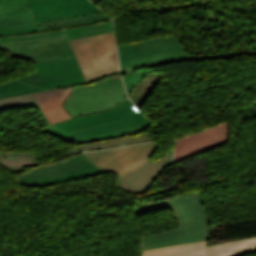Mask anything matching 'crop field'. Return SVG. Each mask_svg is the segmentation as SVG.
<instances>
[{
  "mask_svg": "<svg viewBox=\"0 0 256 256\" xmlns=\"http://www.w3.org/2000/svg\"><path fill=\"white\" fill-rule=\"evenodd\" d=\"M153 140L150 135H148L145 131L130 137H124L119 139L95 142V143H86V144H79L76 146L75 150H97V149H107L112 147H117L120 145H127V144H134V143H141L145 141Z\"/></svg>",
  "mask_w": 256,
  "mask_h": 256,
  "instance_id": "4a817a6b",
  "label": "crop field"
},
{
  "mask_svg": "<svg viewBox=\"0 0 256 256\" xmlns=\"http://www.w3.org/2000/svg\"><path fill=\"white\" fill-rule=\"evenodd\" d=\"M39 32L28 5L0 14V36Z\"/></svg>",
  "mask_w": 256,
  "mask_h": 256,
  "instance_id": "22f410ed",
  "label": "crop field"
},
{
  "mask_svg": "<svg viewBox=\"0 0 256 256\" xmlns=\"http://www.w3.org/2000/svg\"><path fill=\"white\" fill-rule=\"evenodd\" d=\"M33 101H34V99L31 94L22 95V96H17V97L0 99V107L21 104V103H27V102H33Z\"/></svg>",
  "mask_w": 256,
  "mask_h": 256,
  "instance_id": "214f88e0",
  "label": "crop field"
},
{
  "mask_svg": "<svg viewBox=\"0 0 256 256\" xmlns=\"http://www.w3.org/2000/svg\"><path fill=\"white\" fill-rule=\"evenodd\" d=\"M228 122L175 141V159L171 164L211 150L227 142ZM170 164V165H171Z\"/></svg>",
  "mask_w": 256,
  "mask_h": 256,
  "instance_id": "d1516ede",
  "label": "crop field"
},
{
  "mask_svg": "<svg viewBox=\"0 0 256 256\" xmlns=\"http://www.w3.org/2000/svg\"><path fill=\"white\" fill-rule=\"evenodd\" d=\"M128 100L121 77L75 87L65 100L64 109L72 117L111 109Z\"/></svg>",
  "mask_w": 256,
  "mask_h": 256,
  "instance_id": "e52e79f7",
  "label": "crop field"
},
{
  "mask_svg": "<svg viewBox=\"0 0 256 256\" xmlns=\"http://www.w3.org/2000/svg\"><path fill=\"white\" fill-rule=\"evenodd\" d=\"M179 196L137 207L138 215L169 208L178 227L140 236L144 250L208 239L209 210L201 192Z\"/></svg>",
  "mask_w": 256,
  "mask_h": 256,
  "instance_id": "8a807250",
  "label": "crop field"
},
{
  "mask_svg": "<svg viewBox=\"0 0 256 256\" xmlns=\"http://www.w3.org/2000/svg\"><path fill=\"white\" fill-rule=\"evenodd\" d=\"M0 49L32 61L76 57L64 30L0 37Z\"/></svg>",
  "mask_w": 256,
  "mask_h": 256,
  "instance_id": "dd49c442",
  "label": "crop field"
},
{
  "mask_svg": "<svg viewBox=\"0 0 256 256\" xmlns=\"http://www.w3.org/2000/svg\"><path fill=\"white\" fill-rule=\"evenodd\" d=\"M116 75H120V73H116V74H113V75H111V76H116ZM111 76H108V77L99 79V80H97V81L105 80V79H107V78H109V77H111ZM97 81H94V82H97ZM94 82H91V83H94ZM89 84H90V83H89ZM83 85H85V84H83ZM78 86H80V85H78Z\"/></svg>",
  "mask_w": 256,
  "mask_h": 256,
  "instance_id": "a9b5d70f",
  "label": "crop field"
},
{
  "mask_svg": "<svg viewBox=\"0 0 256 256\" xmlns=\"http://www.w3.org/2000/svg\"><path fill=\"white\" fill-rule=\"evenodd\" d=\"M43 92H47V90H46V91H43ZM39 93H41V92H39ZM32 94H36V93H32ZM33 96H34V95H33ZM34 98H35V97H34ZM35 100H36V99H35ZM16 107H37L38 110L40 111L42 117H43V120H44L46 126L50 125V122L48 121V119L46 118L45 114L43 113V111H42V109H41L39 103L37 102V100H36V102H33V103H27V104H21V105H15V106H9V107L0 108V110H1V109L16 108Z\"/></svg>",
  "mask_w": 256,
  "mask_h": 256,
  "instance_id": "dafd665d",
  "label": "crop field"
},
{
  "mask_svg": "<svg viewBox=\"0 0 256 256\" xmlns=\"http://www.w3.org/2000/svg\"><path fill=\"white\" fill-rule=\"evenodd\" d=\"M36 22L99 12L89 0H26Z\"/></svg>",
  "mask_w": 256,
  "mask_h": 256,
  "instance_id": "28ad6ade",
  "label": "crop field"
},
{
  "mask_svg": "<svg viewBox=\"0 0 256 256\" xmlns=\"http://www.w3.org/2000/svg\"><path fill=\"white\" fill-rule=\"evenodd\" d=\"M148 120L128 100L112 110L70 118L55 125L63 133H71L76 140L118 131Z\"/></svg>",
  "mask_w": 256,
  "mask_h": 256,
  "instance_id": "f4fd0767",
  "label": "crop field"
},
{
  "mask_svg": "<svg viewBox=\"0 0 256 256\" xmlns=\"http://www.w3.org/2000/svg\"><path fill=\"white\" fill-rule=\"evenodd\" d=\"M0 165L11 172L20 173L25 167L39 165L37 153H0Z\"/></svg>",
  "mask_w": 256,
  "mask_h": 256,
  "instance_id": "d9b57169",
  "label": "crop field"
},
{
  "mask_svg": "<svg viewBox=\"0 0 256 256\" xmlns=\"http://www.w3.org/2000/svg\"><path fill=\"white\" fill-rule=\"evenodd\" d=\"M242 53H246V54H256V50H254V51H241V52H233V53L219 54V56H220V58H222V57L234 56V55H236V54H242Z\"/></svg>",
  "mask_w": 256,
  "mask_h": 256,
  "instance_id": "00972430",
  "label": "crop field"
},
{
  "mask_svg": "<svg viewBox=\"0 0 256 256\" xmlns=\"http://www.w3.org/2000/svg\"><path fill=\"white\" fill-rule=\"evenodd\" d=\"M102 173L108 171L94 166L81 153L64 161L46 166L40 165L29 172H22L18 174V182L19 185L45 187Z\"/></svg>",
  "mask_w": 256,
  "mask_h": 256,
  "instance_id": "5a996713",
  "label": "crop field"
},
{
  "mask_svg": "<svg viewBox=\"0 0 256 256\" xmlns=\"http://www.w3.org/2000/svg\"><path fill=\"white\" fill-rule=\"evenodd\" d=\"M26 4L25 0H0V13Z\"/></svg>",
  "mask_w": 256,
  "mask_h": 256,
  "instance_id": "92a150f3",
  "label": "crop field"
},
{
  "mask_svg": "<svg viewBox=\"0 0 256 256\" xmlns=\"http://www.w3.org/2000/svg\"><path fill=\"white\" fill-rule=\"evenodd\" d=\"M149 125H150V123L141 124V125H137V126H134V127L128 128V129H124V130H121V131H118L115 133H111V134H107V135H103V136H99V137H94V138L83 139V140H79V141H76L71 134L63 135L54 124L48 126L47 129L45 131H43V133L50 134L54 137H57L61 140L66 141L68 143H72V142L86 143V142H95V141L119 138V137H124V136H129V135H135V134H138V133L144 131Z\"/></svg>",
  "mask_w": 256,
  "mask_h": 256,
  "instance_id": "5142ce71",
  "label": "crop field"
},
{
  "mask_svg": "<svg viewBox=\"0 0 256 256\" xmlns=\"http://www.w3.org/2000/svg\"><path fill=\"white\" fill-rule=\"evenodd\" d=\"M108 19H111V18L103 12H99V13L82 15V16H77L72 18L42 22V23H38L37 25L40 31H47L51 29L65 28V27H71V26H76L81 24L99 22V21H104Z\"/></svg>",
  "mask_w": 256,
  "mask_h": 256,
  "instance_id": "733c2abd",
  "label": "crop field"
},
{
  "mask_svg": "<svg viewBox=\"0 0 256 256\" xmlns=\"http://www.w3.org/2000/svg\"><path fill=\"white\" fill-rule=\"evenodd\" d=\"M87 81L119 70L114 33L70 41Z\"/></svg>",
  "mask_w": 256,
  "mask_h": 256,
  "instance_id": "d8731c3e",
  "label": "crop field"
},
{
  "mask_svg": "<svg viewBox=\"0 0 256 256\" xmlns=\"http://www.w3.org/2000/svg\"><path fill=\"white\" fill-rule=\"evenodd\" d=\"M121 73L129 97L130 92L150 73L148 68L186 60L219 57L188 55L176 35L118 46Z\"/></svg>",
  "mask_w": 256,
  "mask_h": 256,
  "instance_id": "34b2d1b8",
  "label": "crop field"
},
{
  "mask_svg": "<svg viewBox=\"0 0 256 256\" xmlns=\"http://www.w3.org/2000/svg\"><path fill=\"white\" fill-rule=\"evenodd\" d=\"M158 146L150 142L84 154L94 165L117 173L118 188L127 193L142 194L173 159V150L156 162L150 159Z\"/></svg>",
  "mask_w": 256,
  "mask_h": 256,
  "instance_id": "ac0d7876",
  "label": "crop field"
},
{
  "mask_svg": "<svg viewBox=\"0 0 256 256\" xmlns=\"http://www.w3.org/2000/svg\"><path fill=\"white\" fill-rule=\"evenodd\" d=\"M113 31L112 21L102 22L90 26L65 29L68 39H76Z\"/></svg>",
  "mask_w": 256,
  "mask_h": 256,
  "instance_id": "bc2a9ffb",
  "label": "crop field"
},
{
  "mask_svg": "<svg viewBox=\"0 0 256 256\" xmlns=\"http://www.w3.org/2000/svg\"><path fill=\"white\" fill-rule=\"evenodd\" d=\"M207 241L144 251V256H238L256 249V238L206 247Z\"/></svg>",
  "mask_w": 256,
  "mask_h": 256,
  "instance_id": "3316defc",
  "label": "crop field"
},
{
  "mask_svg": "<svg viewBox=\"0 0 256 256\" xmlns=\"http://www.w3.org/2000/svg\"><path fill=\"white\" fill-rule=\"evenodd\" d=\"M37 71L0 85V98L85 82L76 58L34 62Z\"/></svg>",
  "mask_w": 256,
  "mask_h": 256,
  "instance_id": "412701ff",
  "label": "crop field"
},
{
  "mask_svg": "<svg viewBox=\"0 0 256 256\" xmlns=\"http://www.w3.org/2000/svg\"><path fill=\"white\" fill-rule=\"evenodd\" d=\"M73 88H59L35 95L51 124L70 118L62 104Z\"/></svg>",
  "mask_w": 256,
  "mask_h": 256,
  "instance_id": "cbeb9de0",
  "label": "crop field"
}]
</instances>
